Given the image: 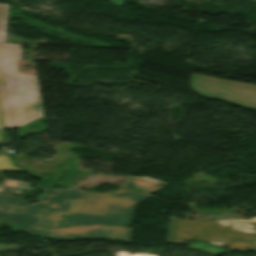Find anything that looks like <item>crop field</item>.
Instances as JSON below:
<instances>
[{
	"label": "crop field",
	"instance_id": "obj_3",
	"mask_svg": "<svg viewBox=\"0 0 256 256\" xmlns=\"http://www.w3.org/2000/svg\"><path fill=\"white\" fill-rule=\"evenodd\" d=\"M201 239L235 250L256 249V222L238 220L187 221L170 218L168 242Z\"/></svg>",
	"mask_w": 256,
	"mask_h": 256
},
{
	"label": "crop field",
	"instance_id": "obj_7",
	"mask_svg": "<svg viewBox=\"0 0 256 256\" xmlns=\"http://www.w3.org/2000/svg\"><path fill=\"white\" fill-rule=\"evenodd\" d=\"M191 248H194V249L206 252V253H210V254H213V255H217V256H220L222 254L231 252V251L216 248L214 246H211V245H208V244H205V243L193 244V245H191Z\"/></svg>",
	"mask_w": 256,
	"mask_h": 256
},
{
	"label": "crop field",
	"instance_id": "obj_6",
	"mask_svg": "<svg viewBox=\"0 0 256 256\" xmlns=\"http://www.w3.org/2000/svg\"><path fill=\"white\" fill-rule=\"evenodd\" d=\"M9 4H0V42H6Z\"/></svg>",
	"mask_w": 256,
	"mask_h": 256
},
{
	"label": "crop field",
	"instance_id": "obj_2",
	"mask_svg": "<svg viewBox=\"0 0 256 256\" xmlns=\"http://www.w3.org/2000/svg\"><path fill=\"white\" fill-rule=\"evenodd\" d=\"M20 44H0V104L4 129L23 126L43 116L37 77L18 73Z\"/></svg>",
	"mask_w": 256,
	"mask_h": 256
},
{
	"label": "crop field",
	"instance_id": "obj_5",
	"mask_svg": "<svg viewBox=\"0 0 256 256\" xmlns=\"http://www.w3.org/2000/svg\"><path fill=\"white\" fill-rule=\"evenodd\" d=\"M190 88L208 97L256 111V85L192 74Z\"/></svg>",
	"mask_w": 256,
	"mask_h": 256
},
{
	"label": "crop field",
	"instance_id": "obj_4",
	"mask_svg": "<svg viewBox=\"0 0 256 256\" xmlns=\"http://www.w3.org/2000/svg\"><path fill=\"white\" fill-rule=\"evenodd\" d=\"M69 190L42 194L39 204H28L0 191V218L30 233L51 236Z\"/></svg>",
	"mask_w": 256,
	"mask_h": 256
},
{
	"label": "crop field",
	"instance_id": "obj_8",
	"mask_svg": "<svg viewBox=\"0 0 256 256\" xmlns=\"http://www.w3.org/2000/svg\"><path fill=\"white\" fill-rule=\"evenodd\" d=\"M0 171L23 172V169L13 165L9 157L0 155Z\"/></svg>",
	"mask_w": 256,
	"mask_h": 256
},
{
	"label": "crop field",
	"instance_id": "obj_1",
	"mask_svg": "<svg viewBox=\"0 0 256 256\" xmlns=\"http://www.w3.org/2000/svg\"><path fill=\"white\" fill-rule=\"evenodd\" d=\"M163 183L145 177H131L125 190L112 193L70 190L51 238L108 237L129 241L133 229H128V226L134 205Z\"/></svg>",
	"mask_w": 256,
	"mask_h": 256
},
{
	"label": "crop field",
	"instance_id": "obj_9",
	"mask_svg": "<svg viewBox=\"0 0 256 256\" xmlns=\"http://www.w3.org/2000/svg\"><path fill=\"white\" fill-rule=\"evenodd\" d=\"M1 131H2V127H1V120H0V142L2 140Z\"/></svg>",
	"mask_w": 256,
	"mask_h": 256
}]
</instances>
